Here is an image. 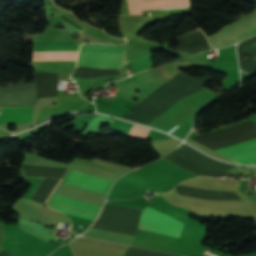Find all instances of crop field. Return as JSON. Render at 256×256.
Listing matches in <instances>:
<instances>
[{"instance_id":"crop-field-2","label":"crop field","mask_w":256,"mask_h":256,"mask_svg":"<svg viewBox=\"0 0 256 256\" xmlns=\"http://www.w3.org/2000/svg\"><path fill=\"white\" fill-rule=\"evenodd\" d=\"M164 158L197 176L216 177L236 167L212 160L185 144Z\"/></svg>"},{"instance_id":"crop-field-8","label":"crop field","mask_w":256,"mask_h":256,"mask_svg":"<svg viewBox=\"0 0 256 256\" xmlns=\"http://www.w3.org/2000/svg\"><path fill=\"white\" fill-rule=\"evenodd\" d=\"M33 108H2L0 123L31 122Z\"/></svg>"},{"instance_id":"crop-field-9","label":"crop field","mask_w":256,"mask_h":256,"mask_svg":"<svg viewBox=\"0 0 256 256\" xmlns=\"http://www.w3.org/2000/svg\"><path fill=\"white\" fill-rule=\"evenodd\" d=\"M83 236L94 237L98 239H103L107 241H112L116 243L128 244L130 245L134 239V236L90 228L85 233L82 234Z\"/></svg>"},{"instance_id":"crop-field-7","label":"crop field","mask_w":256,"mask_h":256,"mask_svg":"<svg viewBox=\"0 0 256 256\" xmlns=\"http://www.w3.org/2000/svg\"><path fill=\"white\" fill-rule=\"evenodd\" d=\"M215 151L241 164H256V139Z\"/></svg>"},{"instance_id":"crop-field-5","label":"crop field","mask_w":256,"mask_h":256,"mask_svg":"<svg viewBox=\"0 0 256 256\" xmlns=\"http://www.w3.org/2000/svg\"><path fill=\"white\" fill-rule=\"evenodd\" d=\"M182 225V223L147 207L138 228L178 237Z\"/></svg>"},{"instance_id":"crop-field-4","label":"crop field","mask_w":256,"mask_h":256,"mask_svg":"<svg viewBox=\"0 0 256 256\" xmlns=\"http://www.w3.org/2000/svg\"><path fill=\"white\" fill-rule=\"evenodd\" d=\"M255 27H256V11L253 12L251 15L241 19L237 23L224 27L219 33L211 37H208L207 39L213 48H219L227 44L228 42L236 39L237 37L243 35L244 33L252 30ZM254 35H256V28L246 33L245 35L237 38L236 40L228 43L223 47L232 45L236 42H239L247 37H251Z\"/></svg>"},{"instance_id":"crop-field-1","label":"crop field","mask_w":256,"mask_h":256,"mask_svg":"<svg viewBox=\"0 0 256 256\" xmlns=\"http://www.w3.org/2000/svg\"><path fill=\"white\" fill-rule=\"evenodd\" d=\"M62 183L107 195L113 181L69 170ZM49 206L68 214L85 217L91 220L95 219L101 208L100 206L56 194L53 195Z\"/></svg>"},{"instance_id":"crop-field-6","label":"crop field","mask_w":256,"mask_h":256,"mask_svg":"<svg viewBox=\"0 0 256 256\" xmlns=\"http://www.w3.org/2000/svg\"><path fill=\"white\" fill-rule=\"evenodd\" d=\"M78 49L76 41L34 40L33 56L77 55Z\"/></svg>"},{"instance_id":"crop-field-10","label":"crop field","mask_w":256,"mask_h":256,"mask_svg":"<svg viewBox=\"0 0 256 256\" xmlns=\"http://www.w3.org/2000/svg\"><path fill=\"white\" fill-rule=\"evenodd\" d=\"M23 214H25L29 218H35L45 224H52L58 221L57 219L39 211L38 209L22 202L18 201L15 205Z\"/></svg>"},{"instance_id":"crop-field-12","label":"crop field","mask_w":256,"mask_h":256,"mask_svg":"<svg viewBox=\"0 0 256 256\" xmlns=\"http://www.w3.org/2000/svg\"><path fill=\"white\" fill-rule=\"evenodd\" d=\"M46 203H47V202H46ZM46 203H45V204H46Z\"/></svg>"},{"instance_id":"crop-field-11","label":"crop field","mask_w":256,"mask_h":256,"mask_svg":"<svg viewBox=\"0 0 256 256\" xmlns=\"http://www.w3.org/2000/svg\"><path fill=\"white\" fill-rule=\"evenodd\" d=\"M150 129L133 125L128 133V137L145 140Z\"/></svg>"},{"instance_id":"crop-field-3","label":"crop field","mask_w":256,"mask_h":256,"mask_svg":"<svg viewBox=\"0 0 256 256\" xmlns=\"http://www.w3.org/2000/svg\"><path fill=\"white\" fill-rule=\"evenodd\" d=\"M80 50L125 52V46L82 45ZM84 51L79 52L77 66L120 69L129 62L125 61V53Z\"/></svg>"}]
</instances>
